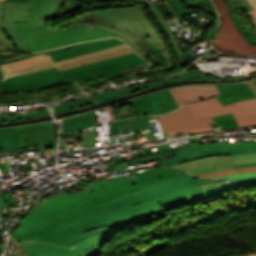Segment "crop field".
<instances>
[{"label":"crop field","instance_id":"d23c7cc5","mask_svg":"<svg viewBox=\"0 0 256 256\" xmlns=\"http://www.w3.org/2000/svg\"><path fill=\"white\" fill-rule=\"evenodd\" d=\"M127 179H129V176L123 177V178H120V179H116V180H113V178H111V179L105 180V181H103V182H101V183H99V184H95V185L89 187V188L87 189V191H88L89 194H90L93 190H95V189H97V188H101L102 185L105 186V185H109V184L121 182V181L127 180Z\"/></svg>","mask_w":256,"mask_h":256},{"label":"crop field","instance_id":"028f5c9d","mask_svg":"<svg viewBox=\"0 0 256 256\" xmlns=\"http://www.w3.org/2000/svg\"><path fill=\"white\" fill-rule=\"evenodd\" d=\"M213 120L220 129L239 127L232 113L214 117Z\"/></svg>","mask_w":256,"mask_h":256},{"label":"crop field","instance_id":"1f1604b0","mask_svg":"<svg viewBox=\"0 0 256 256\" xmlns=\"http://www.w3.org/2000/svg\"><path fill=\"white\" fill-rule=\"evenodd\" d=\"M3 249L0 247V253H2Z\"/></svg>","mask_w":256,"mask_h":256},{"label":"crop field","instance_id":"db79e9e6","mask_svg":"<svg viewBox=\"0 0 256 256\" xmlns=\"http://www.w3.org/2000/svg\"><path fill=\"white\" fill-rule=\"evenodd\" d=\"M164 216H168L166 212L163 213V214H160V215H157V216H154V217L142 220V221L134 223V224H143V223H146V222H149V221H152L154 219H158V218H161V217H164Z\"/></svg>","mask_w":256,"mask_h":256},{"label":"crop field","instance_id":"730fd06b","mask_svg":"<svg viewBox=\"0 0 256 256\" xmlns=\"http://www.w3.org/2000/svg\"><path fill=\"white\" fill-rule=\"evenodd\" d=\"M137 3H139L140 5H143L145 7H147L150 12L154 15L156 21L158 22L159 26L162 28V30L165 32V34L168 36V38L170 39L175 52L179 58V61L181 63V66L188 63L182 53V49L179 45V43L177 42L176 38L174 37L173 33L171 32L167 22L165 21V19L163 18L162 14L160 13V11L158 10L157 7L147 3L144 0H138L136 1Z\"/></svg>","mask_w":256,"mask_h":256},{"label":"crop field","instance_id":"4177f3b9","mask_svg":"<svg viewBox=\"0 0 256 256\" xmlns=\"http://www.w3.org/2000/svg\"><path fill=\"white\" fill-rule=\"evenodd\" d=\"M60 229L76 225L82 232L107 226L101 211L76 217L57 224Z\"/></svg>","mask_w":256,"mask_h":256},{"label":"crop field","instance_id":"03da06ac","mask_svg":"<svg viewBox=\"0 0 256 256\" xmlns=\"http://www.w3.org/2000/svg\"><path fill=\"white\" fill-rule=\"evenodd\" d=\"M233 165L256 162V154L231 156Z\"/></svg>","mask_w":256,"mask_h":256},{"label":"crop field","instance_id":"0765c3eb","mask_svg":"<svg viewBox=\"0 0 256 256\" xmlns=\"http://www.w3.org/2000/svg\"><path fill=\"white\" fill-rule=\"evenodd\" d=\"M21 250H23V252H21ZM13 256H28V255L25 253L24 249L17 244Z\"/></svg>","mask_w":256,"mask_h":256},{"label":"crop field","instance_id":"c5b07064","mask_svg":"<svg viewBox=\"0 0 256 256\" xmlns=\"http://www.w3.org/2000/svg\"><path fill=\"white\" fill-rule=\"evenodd\" d=\"M187 1L189 4H193V3H198V2L208 1V0H187Z\"/></svg>","mask_w":256,"mask_h":256},{"label":"crop field","instance_id":"eef30255","mask_svg":"<svg viewBox=\"0 0 256 256\" xmlns=\"http://www.w3.org/2000/svg\"><path fill=\"white\" fill-rule=\"evenodd\" d=\"M144 61L135 53L90 64L92 71L118 65L120 69L139 65Z\"/></svg>","mask_w":256,"mask_h":256},{"label":"crop field","instance_id":"b80d0937","mask_svg":"<svg viewBox=\"0 0 256 256\" xmlns=\"http://www.w3.org/2000/svg\"><path fill=\"white\" fill-rule=\"evenodd\" d=\"M235 189H238V187L235 185H232L230 183H227V184H223V185H219V186L202 189L201 191H203L204 194L206 195V197L208 198L211 196L221 194L222 192L231 191V190H235Z\"/></svg>","mask_w":256,"mask_h":256},{"label":"crop field","instance_id":"5866460e","mask_svg":"<svg viewBox=\"0 0 256 256\" xmlns=\"http://www.w3.org/2000/svg\"><path fill=\"white\" fill-rule=\"evenodd\" d=\"M28 133L31 145L39 143L40 154L45 153L44 142H42L39 124L28 125Z\"/></svg>","mask_w":256,"mask_h":256},{"label":"crop field","instance_id":"819c52e7","mask_svg":"<svg viewBox=\"0 0 256 256\" xmlns=\"http://www.w3.org/2000/svg\"><path fill=\"white\" fill-rule=\"evenodd\" d=\"M0 2H5V0H0Z\"/></svg>","mask_w":256,"mask_h":256},{"label":"crop field","instance_id":"1d83c4d3","mask_svg":"<svg viewBox=\"0 0 256 256\" xmlns=\"http://www.w3.org/2000/svg\"><path fill=\"white\" fill-rule=\"evenodd\" d=\"M120 43H123V42L121 40L117 39V40H114V41H110V42L100 44V45H97V46H93V47H90V48H86V49H84L83 46H81V47H77V48L70 49V50H67V51H61V52H58V53H55V54H51L50 57L52 58V60L54 62H56V61H60V60L66 59V58L76 56V55H80V54L100 50V49L110 47V46L120 44Z\"/></svg>","mask_w":256,"mask_h":256},{"label":"crop field","instance_id":"92a150f3","mask_svg":"<svg viewBox=\"0 0 256 256\" xmlns=\"http://www.w3.org/2000/svg\"><path fill=\"white\" fill-rule=\"evenodd\" d=\"M169 91L179 106L187 102L209 99L219 94L215 85L183 86L170 88Z\"/></svg>","mask_w":256,"mask_h":256},{"label":"crop field","instance_id":"73cf0c24","mask_svg":"<svg viewBox=\"0 0 256 256\" xmlns=\"http://www.w3.org/2000/svg\"><path fill=\"white\" fill-rule=\"evenodd\" d=\"M243 176H256V171L236 173V174L218 176V177H214V178L220 179V180H226V179H233V178H238V177H243Z\"/></svg>","mask_w":256,"mask_h":256},{"label":"crop field","instance_id":"28ad6ade","mask_svg":"<svg viewBox=\"0 0 256 256\" xmlns=\"http://www.w3.org/2000/svg\"><path fill=\"white\" fill-rule=\"evenodd\" d=\"M183 76L185 79H173V80H167V81L152 82V83H148V84H142V85H138V86L115 90V91H111V92H107V93H100V94L92 95V96H89L86 98H81V99H77L74 101L66 102V103H63V104L55 107V110L53 111V113H58V112H63L68 109L83 107L86 105H90L92 103L100 102L102 100H107V99H111L113 97L130 94L137 90L145 89L147 87L161 85L163 83L175 82V81L186 80V79H194V78L209 79V77L199 74L194 69H192L190 72L184 74Z\"/></svg>","mask_w":256,"mask_h":256},{"label":"crop field","instance_id":"c3a83c6f","mask_svg":"<svg viewBox=\"0 0 256 256\" xmlns=\"http://www.w3.org/2000/svg\"><path fill=\"white\" fill-rule=\"evenodd\" d=\"M6 2H26V3H28V0H6Z\"/></svg>","mask_w":256,"mask_h":256},{"label":"crop field","instance_id":"ade564c9","mask_svg":"<svg viewBox=\"0 0 256 256\" xmlns=\"http://www.w3.org/2000/svg\"><path fill=\"white\" fill-rule=\"evenodd\" d=\"M81 1L89 4V3H96V2H100V1H106V0H81ZM102 6H104V5H102Z\"/></svg>","mask_w":256,"mask_h":256},{"label":"crop field","instance_id":"d1516ede","mask_svg":"<svg viewBox=\"0 0 256 256\" xmlns=\"http://www.w3.org/2000/svg\"><path fill=\"white\" fill-rule=\"evenodd\" d=\"M60 198V199H58ZM94 201L88 192H81L75 194H69L60 196L52 199L51 201L45 203L41 207L35 209L31 213H29L26 218L23 220L20 226L29 224L31 222L43 219L57 211L65 209L67 207L84 204L88 202ZM19 226V227H20Z\"/></svg>","mask_w":256,"mask_h":256},{"label":"crop field","instance_id":"d8731c3e","mask_svg":"<svg viewBox=\"0 0 256 256\" xmlns=\"http://www.w3.org/2000/svg\"><path fill=\"white\" fill-rule=\"evenodd\" d=\"M157 117L164 133H169V135H175L182 132L191 134L213 130L209 124L213 123L211 118L194 120L187 105L170 114Z\"/></svg>","mask_w":256,"mask_h":256},{"label":"crop field","instance_id":"e52e79f7","mask_svg":"<svg viewBox=\"0 0 256 256\" xmlns=\"http://www.w3.org/2000/svg\"><path fill=\"white\" fill-rule=\"evenodd\" d=\"M14 240L50 242L66 247L77 246L84 251L95 245L76 226L60 230L56 224Z\"/></svg>","mask_w":256,"mask_h":256},{"label":"crop field","instance_id":"dbb93151","mask_svg":"<svg viewBox=\"0 0 256 256\" xmlns=\"http://www.w3.org/2000/svg\"><path fill=\"white\" fill-rule=\"evenodd\" d=\"M247 2L251 5V7L254 9L252 11H248L247 14L253 21V23L256 26V0H247Z\"/></svg>","mask_w":256,"mask_h":256},{"label":"crop field","instance_id":"78b8030e","mask_svg":"<svg viewBox=\"0 0 256 256\" xmlns=\"http://www.w3.org/2000/svg\"><path fill=\"white\" fill-rule=\"evenodd\" d=\"M1 165H2V170H0V172H1L3 175H4V174H7V173L10 174L8 162H4V163H2Z\"/></svg>","mask_w":256,"mask_h":256},{"label":"crop field","instance_id":"120bbe31","mask_svg":"<svg viewBox=\"0 0 256 256\" xmlns=\"http://www.w3.org/2000/svg\"><path fill=\"white\" fill-rule=\"evenodd\" d=\"M114 39H117V38H107V39H100V40H94V41H89V42L77 43V44H73V45H69V46H65V47L51 49V50L44 51V52H38V53H34V54L21 55V56L9 58V59L0 60V64L1 63L15 61V60H19V59H23V58H27V57L36 56V55L43 54V53H45L47 55V54H51V53H55V52H58V51H61V50H66V49L74 48V47L81 46V45H83L84 48H86V47H90V46L97 45V44H100V43H104V42H107V41H110V40H114Z\"/></svg>","mask_w":256,"mask_h":256},{"label":"crop field","instance_id":"c035e120","mask_svg":"<svg viewBox=\"0 0 256 256\" xmlns=\"http://www.w3.org/2000/svg\"><path fill=\"white\" fill-rule=\"evenodd\" d=\"M45 115H49V112L41 110V111L30 112L28 114L19 115V116L9 115V116H5V117H3L2 113H0V121L37 118V117H42V116H45Z\"/></svg>","mask_w":256,"mask_h":256},{"label":"crop field","instance_id":"bc2a9ffb","mask_svg":"<svg viewBox=\"0 0 256 256\" xmlns=\"http://www.w3.org/2000/svg\"><path fill=\"white\" fill-rule=\"evenodd\" d=\"M221 95L216 98L224 105L240 100L256 98V79L242 83L216 85Z\"/></svg>","mask_w":256,"mask_h":256},{"label":"crop field","instance_id":"180be81f","mask_svg":"<svg viewBox=\"0 0 256 256\" xmlns=\"http://www.w3.org/2000/svg\"><path fill=\"white\" fill-rule=\"evenodd\" d=\"M139 145H140V143L133 144L134 147H137V146H139ZM140 146H141V145H140Z\"/></svg>","mask_w":256,"mask_h":256},{"label":"crop field","instance_id":"f4fd0767","mask_svg":"<svg viewBox=\"0 0 256 256\" xmlns=\"http://www.w3.org/2000/svg\"><path fill=\"white\" fill-rule=\"evenodd\" d=\"M195 119L233 112L240 127L256 124V99L222 106L216 98L188 103Z\"/></svg>","mask_w":256,"mask_h":256},{"label":"crop field","instance_id":"c21b1889","mask_svg":"<svg viewBox=\"0 0 256 256\" xmlns=\"http://www.w3.org/2000/svg\"><path fill=\"white\" fill-rule=\"evenodd\" d=\"M38 93H39L43 103L61 98L59 93L54 91L52 88L38 90Z\"/></svg>","mask_w":256,"mask_h":256},{"label":"crop field","instance_id":"00972430","mask_svg":"<svg viewBox=\"0 0 256 256\" xmlns=\"http://www.w3.org/2000/svg\"><path fill=\"white\" fill-rule=\"evenodd\" d=\"M23 247L26 249L29 256H77L84 252L77 247L69 250L45 243L33 242H30Z\"/></svg>","mask_w":256,"mask_h":256},{"label":"crop field","instance_id":"412701ff","mask_svg":"<svg viewBox=\"0 0 256 256\" xmlns=\"http://www.w3.org/2000/svg\"><path fill=\"white\" fill-rule=\"evenodd\" d=\"M94 76L89 65L57 72L56 67L7 78L9 86L0 87V93L25 92L65 84Z\"/></svg>","mask_w":256,"mask_h":256},{"label":"crop field","instance_id":"cbeb9de0","mask_svg":"<svg viewBox=\"0 0 256 256\" xmlns=\"http://www.w3.org/2000/svg\"><path fill=\"white\" fill-rule=\"evenodd\" d=\"M123 45H125V43L120 44V45H116V46H113V47H110V48H106V49H103V50H100V51H96V52L76 56V57L66 59V60H63V61H60V62H56V63H53L54 61L52 62L49 55L45 56L43 54V55H39V56H36V57H32V58H28V59H24V60H20V61H16V62L1 64L0 69L3 72V74L6 77H8V76H12V75H17V74H22V73H27V72H31V71H36V70L48 68V67L54 66V65H56L58 63H61V62H65V61L85 57V56H88V55L96 54V53H99V52L107 51V50H110V49L118 48V47H121Z\"/></svg>","mask_w":256,"mask_h":256},{"label":"crop field","instance_id":"f0312440","mask_svg":"<svg viewBox=\"0 0 256 256\" xmlns=\"http://www.w3.org/2000/svg\"><path fill=\"white\" fill-rule=\"evenodd\" d=\"M246 256H256L255 254H252V255H246Z\"/></svg>","mask_w":256,"mask_h":256},{"label":"crop field","instance_id":"5d738f31","mask_svg":"<svg viewBox=\"0 0 256 256\" xmlns=\"http://www.w3.org/2000/svg\"><path fill=\"white\" fill-rule=\"evenodd\" d=\"M233 182L241 187H252L256 186V177H244V178H239V179H234V180H226Z\"/></svg>","mask_w":256,"mask_h":256},{"label":"crop field","instance_id":"7b73153f","mask_svg":"<svg viewBox=\"0 0 256 256\" xmlns=\"http://www.w3.org/2000/svg\"><path fill=\"white\" fill-rule=\"evenodd\" d=\"M40 127H41L42 139L47 140V131H46L45 123H40Z\"/></svg>","mask_w":256,"mask_h":256},{"label":"crop field","instance_id":"733c2abd","mask_svg":"<svg viewBox=\"0 0 256 256\" xmlns=\"http://www.w3.org/2000/svg\"><path fill=\"white\" fill-rule=\"evenodd\" d=\"M222 18V29L214 44L218 49L231 53L239 46L247 43L237 31L221 0H214Z\"/></svg>","mask_w":256,"mask_h":256},{"label":"crop field","instance_id":"3316defc","mask_svg":"<svg viewBox=\"0 0 256 256\" xmlns=\"http://www.w3.org/2000/svg\"><path fill=\"white\" fill-rule=\"evenodd\" d=\"M192 145L196 152L178 156L177 159L161 162L155 165L171 166L207 156L256 153V142L242 144H214L204 146H199L198 143H196Z\"/></svg>","mask_w":256,"mask_h":256},{"label":"crop field","instance_id":"b54c1fbb","mask_svg":"<svg viewBox=\"0 0 256 256\" xmlns=\"http://www.w3.org/2000/svg\"><path fill=\"white\" fill-rule=\"evenodd\" d=\"M96 136V127L92 128V135L87 134V130H83L82 147H94Z\"/></svg>","mask_w":256,"mask_h":256},{"label":"crop field","instance_id":"34b2d1b8","mask_svg":"<svg viewBox=\"0 0 256 256\" xmlns=\"http://www.w3.org/2000/svg\"><path fill=\"white\" fill-rule=\"evenodd\" d=\"M94 29L113 34L125 41L141 57L147 54L150 62L158 64L147 41L137 30L132 22L144 19V8L136 7H114L105 10L94 11Z\"/></svg>","mask_w":256,"mask_h":256},{"label":"crop field","instance_id":"4a817a6b","mask_svg":"<svg viewBox=\"0 0 256 256\" xmlns=\"http://www.w3.org/2000/svg\"><path fill=\"white\" fill-rule=\"evenodd\" d=\"M96 210H100V209L95 202L67 208V209L62 210V211H60L52 216H49L43 220H40V221H37V222L31 223L29 225L18 228L17 231L12 235L11 238H15L20 235L44 228L53 223L61 222L70 217H73V216H77L80 214H84V213H88V212H92V211H96Z\"/></svg>","mask_w":256,"mask_h":256},{"label":"crop field","instance_id":"89e229c0","mask_svg":"<svg viewBox=\"0 0 256 256\" xmlns=\"http://www.w3.org/2000/svg\"><path fill=\"white\" fill-rule=\"evenodd\" d=\"M46 125L48 130L49 148H55V134L53 122H48L46 123Z\"/></svg>","mask_w":256,"mask_h":256},{"label":"crop field","instance_id":"9d1cf04e","mask_svg":"<svg viewBox=\"0 0 256 256\" xmlns=\"http://www.w3.org/2000/svg\"><path fill=\"white\" fill-rule=\"evenodd\" d=\"M108 166H106L105 168L107 169L108 172H113V171H119V170H123L126 169V166L124 165V163L118 165V166H114L112 167L110 164H107Z\"/></svg>","mask_w":256,"mask_h":256},{"label":"crop field","instance_id":"0bd39190","mask_svg":"<svg viewBox=\"0 0 256 256\" xmlns=\"http://www.w3.org/2000/svg\"><path fill=\"white\" fill-rule=\"evenodd\" d=\"M14 51L17 52L11 41L8 39L2 28H0V56L16 54L12 52L6 51Z\"/></svg>","mask_w":256,"mask_h":256},{"label":"crop field","instance_id":"425ffa30","mask_svg":"<svg viewBox=\"0 0 256 256\" xmlns=\"http://www.w3.org/2000/svg\"><path fill=\"white\" fill-rule=\"evenodd\" d=\"M241 35L250 45L254 44L256 46V28L241 32Z\"/></svg>","mask_w":256,"mask_h":256},{"label":"crop field","instance_id":"fb207236","mask_svg":"<svg viewBox=\"0 0 256 256\" xmlns=\"http://www.w3.org/2000/svg\"><path fill=\"white\" fill-rule=\"evenodd\" d=\"M188 140L190 142H193V141H199L200 139H199V137H189Z\"/></svg>","mask_w":256,"mask_h":256},{"label":"crop field","instance_id":"ae1a2a85","mask_svg":"<svg viewBox=\"0 0 256 256\" xmlns=\"http://www.w3.org/2000/svg\"><path fill=\"white\" fill-rule=\"evenodd\" d=\"M132 52L133 51L128 47H122V48H118L114 51L98 54L95 56H91V57H87V58H83V59H79V60H75V61H71V62H67V63H63V64H59V65H56V67H57V70L59 71V70H63V69L71 68V67L90 64V63L97 62V61H100L103 59L120 56V55H124V54H128V53H132Z\"/></svg>","mask_w":256,"mask_h":256},{"label":"crop field","instance_id":"0fb4a251","mask_svg":"<svg viewBox=\"0 0 256 256\" xmlns=\"http://www.w3.org/2000/svg\"><path fill=\"white\" fill-rule=\"evenodd\" d=\"M3 216H7V217H14V218H18L20 219V217L22 216V213L19 212V210H5Z\"/></svg>","mask_w":256,"mask_h":256},{"label":"crop field","instance_id":"25e5ab78","mask_svg":"<svg viewBox=\"0 0 256 256\" xmlns=\"http://www.w3.org/2000/svg\"><path fill=\"white\" fill-rule=\"evenodd\" d=\"M250 170H256V167H248V168L236 169V170H231V171L214 172V173L199 175V176L200 177H213V176H217V175L230 174V173L243 172V171H250Z\"/></svg>","mask_w":256,"mask_h":256},{"label":"crop field","instance_id":"750c4746","mask_svg":"<svg viewBox=\"0 0 256 256\" xmlns=\"http://www.w3.org/2000/svg\"><path fill=\"white\" fill-rule=\"evenodd\" d=\"M95 125V111L65 118L62 120V134H66L67 130H81Z\"/></svg>","mask_w":256,"mask_h":256},{"label":"crop field","instance_id":"8a807250","mask_svg":"<svg viewBox=\"0 0 256 256\" xmlns=\"http://www.w3.org/2000/svg\"><path fill=\"white\" fill-rule=\"evenodd\" d=\"M217 182L193 178L187 174L159 183L144 186V189L111 199L99 205L110 229L137 222L163 213L164 210L184 204L207 200L197 185Z\"/></svg>","mask_w":256,"mask_h":256},{"label":"crop field","instance_id":"e1d0b9f6","mask_svg":"<svg viewBox=\"0 0 256 256\" xmlns=\"http://www.w3.org/2000/svg\"><path fill=\"white\" fill-rule=\"evenodd\" d=\"M223 183H227V182H223V181H220V182H217V183H213V184H207V185H201L199 186V188H206V187H210V186H214V185H219V184H223Z\"/></svg>","mask_w":256,"mask_h":256},{"label":"crop field","instance_id":"7312dd0a","mask_svg":"<svg viewBox=\"0 0 256 256\" xmlns=\"http://www.w3.org/2000/svg\"><path fill=\"white\" fill-rule=\"evenodd\" d=\"M5 203L2 201V199L0 198V211H2V208H5Z\"/></svg>","mask_w":256,"mask_h":256},{"label":"crop field","instance_id":"5142ce71","mask_svg":"<svg viewBox=\"0 0 256 256\" xmlns=\"http://www.w3.org/2000/svg\"><path fill=\"white\" fill-rule=\"evenodd\" d=\"M135 26L139 29L142 35L147 39L151 49L153 50L154 55L156 56L157 60L159 61V66L153 70H142L137 73H144V72H154V71H161L166 69L174 68L170 56L169 51L164 45L155 30L152 24L149 22L148 19H144L141 21L134 22Z\"/></svg>","mask_w":256,"mask_h":256},{"label":"crop field","instance_id":"214f88e0","mask_svg":"<svg viewBox=\"0 0 256 256\" xmlns=\"http://www.w3.org/2000/svg\"><path fill=\"white\" fill-rule=\"evenodd\" d=\"M171 167L187 170L193 176L233 169L230 156L207 157Z\"/></svg>","mask_w":256,"mask_h":256},{"label":"crop field","instance_id":"d32e631a","mask_svg":"<svg viewBox=\"0 0 256 256\" xmlns=\"http://www.w3.org/2000/svg\"><path fill=\"white\" fill-rule=\"evenodd\" d=\"M3 147V151L17 150L16 140L13 127L0 129V148Z\"/></svg>","mask_w":256,"mask_h":256},{"label":"crop field","instance_id":"d3111659","mask_svg":"<svg viewBox=\"0 0 256 256\" xmlns=\"http://www.w3.org/2000/svg\"><path fill=\"white\" fill-rule=\"evenodd\" d=\"M157 149L158 151L152 152L150 147L144 148V151L146 152L148 157L142 158L141 159L142 163L155 160L158 158L166 157V156H171L174 154L178 156V155L194 152V149L192 148L190 143L173 148V149H171L168 144H165V145L157 146ZM150 152H152V154H150Z\"/></svg>","mask_w":256,"mask_h":256},{"label":"crop field","instance_id":"dafd665d","mask_svg":"<svg viewBox=\"0 0 256 256\" xmlns=\"http://www.w3.org/2000/svg\"><path fill=\"white\" fill-rule=\"evenodd\" d=\"M223 3L239 32L254 27L245 11L252 10L246 0H223Z\"/></svg>","mask_w":256,"mask_h":256},{"label":"crop field","instance_id":"1f2cbd36","mask_svg":"<svg viewBox=\"0 0 256 256\" xmlns=\"http://www.w3.org/2000/svg\"><path fill=\"white\" fill-rule=\"evenodd\" d=\"M190 7H196V8H200V9H205L207 13H212L215 17L217 16L216 12L214 10V7H213L211 2H205V3L193 5V6H190Z\"/></svg>","mask_w":256,"mask_h":256},{"label":"crop field","instance_id":"a9b5d70f","mask_svg":"<svg viewBox=\"0 0 256 256\" xmlns=\"http://www.w3.org/2000/svg\"><path fill=\"white\" fill-rule=\"evenodd\" d=\"M95 77L69 83L75 93L99 85L107 80L121 76L117 66L93 72Z\"/></svg>","mask_w":256,"mask_h":256},{"label":"crop field","instance_id":"dd49c442","mask_svg":"<svg viewBox=\"0 0 256 256\" xmlns=\"http://www.w3.org/2000/svg\"><path fill=\"white\" fill-rule=\"evenodd\" d=\"M183 174H186V172H181L164 167L152 169L146 172L135 174L134 176L136 178H132L121 183L113 184L98 189L92 192L90 195L97 204H100L111 198L127 194L131 191L139 190L144 185L152 184L158 181H162Z\"/></svg>","mask_w":256,"mask_h":256},{"label":"crop field","instance_id":"447ae74e","mask_svg":"<svg viewBox=\"0 0 256 256\" xmlns=\"http://www.w3.org/2000/svg\"><path fill=\"white\" fill-rule=\"evenodd\" d=\"M1 198L4 200V202L6 203V205L10 204V205H14V201L11 197V195L9 194V192L1 195Z\"/></svg>","mask_w":256,"mask_h":256},{"label":"crop field","instance_id":"bd1437ed","mask_svg":"<svg viewBox=\"0 0 256 256\" xmlns=\"http://www.w3.org/2000/svg\"><path fill=\"white\" fill-rule=\"evenodd\" d=\"M84 234L90 238L96 245L90 250L86 251L80 256H95L97 253L101 252L100 246L104 244L109 238H111V234L109 231V227H103L96 230L84 232ZM98 255V254H97Z\"/></svg>","mask_w":256,"mask_h":256},{"label":"crop field","instance_id":"ac0d7876","mask_svg":"<svg viewBox=\"0 0 256 256\" xmlns=\"http://www.w3.org/2000/svg\"><path fill=\"white\" fill-rule=\"evenodd\" d=\"M92 13L76 17L58 25L57 29L49 28L50 33L37 37L30 22L15 23L33 52L51 49L82 41L111 37L113 35L93 30Z\"/></svg>","mask_w":256,"mask_h":256},{"label":"crop field","instance_id":"1d79db26","mask_svg":"<svg viewBox=\"0 0 256 256\" xmlns=\"http://www.w3.org/2000/svg\"><path fill=\"white\" fill-rule=\"evenodd\" d=\"M146 66H148V63L145 62V63H143V64H141L139 66H136V67H131V68L123 69V70H121V72L124 75V74H128V73L134 72V71H136L138 69H141L143 67H146Z\"/></svg>","mask_w":256,"mask_h":256},{"label":"crop field","instance_id":"0f1d7ab4","mask_svg":"<svg viewBox=\"0 0 256 256\" xmlns=\"http://www.w3.org/2000/svg\"><path fill=\"white\" fill-rule=\"evenodd\" d=\"M139 158H142V155H140V156H136V157H135V158H133V159H129V160L122 161V162H124V163H125V165H127V164H130V163H133V162L139 161Z\"/></svg>","mask_w":256,"mask_h":256},{"label":"crop field","instance_id":"e1f06a70","mask_svg":"<svg viewBox=\"0 0 256 256\" xmlns=\"http://www.w3.org/2000/svg\"><path fill=\"white\" fill-rule=\"evenodd\" d=\"M14 129H15L18 149H22L30 146L29 138L27 134V127L26 126L14 127Z\"/></svg>","mask_w":256,"mask_h":256},{"label":"crop field","instance_id":"d9b57169","mask_svg":"<svg viewBox=\"0 0 256 256\" xmlns=\"http://www.w3.org/2000/svg\"><path fill=\"white\" fill-rule=\"evenodd\" d=\"M63 4L64 0H29L31 23L38 36L49 32L45 21L55 18Z\"/></svg>","mask_w":256,"mask_h":256},{"label":"crop field","instance_id":"d14b1444","mask_svg":"<svg viewBox=\"0 0 256 256\" xmlns=\"http://www.w3.org/2000/svg\"><path fill=\"white\" fill-rule=\"evenodd\" d=\"M5 77H4V75L0 72V86H3V85H8L7 84V81L5 80H3Z\"/></svg>","mask_w":256,"mask_h":256},{"label":"crop field","instance_id":"5a996713","mask_svg":"<svg viewBox=\"0 0 256 256\" xmlns=\"http://www.w3.org/2000/svg\"><path fill=\"white\" fill-rule=\"evenodd\" d=\"M30 21L28 4L0 3V27L3 28L18 52H32L14 22Z\"/></svg>","mask_w":256,"mask_h":256},{"label":"crop field","instance_id":"22f410ed","mask_svg":"<svg viewBox=\"0 0 256 256\" xmlns=\"http://www.w3.org/2000/svg\"><path fill=\"white\" fill-rule=\"evenodd\" d=\"M130 101L137 115L163 114L178 108L168 89Z\"/></svg>","mask_w":256,"mask_h":256},{"label":"crop field","instance_id":"c39391a2","mask_svg":"<svg viewBox=\"0 0 256 256\" xmlns=\"http://www.w3.org/2000/svg\"><path fill=\"white\" fill-rule=\"evenodd\" d=\"M247 166H256V163L244 164V165H237L233 166L235 168L247 167Z\"/></svg>","mask_w":256,"mask_h":256},{"label":"crop field","instance_id":"ae633e8c","mask_svg":"<svg viewBox=\"0 0 256 256\" xmlns=\"http://www.w3.org/2000/svg\"><path fill=\"white\" fill-rule=\"evenodd\" d=\"M248 46H250L248 43L239 47L237 50H235L233 53H240L242 52L244 49H246Z\"/></svg>","mask_w":256,"mask_h":256}]
</instances>
